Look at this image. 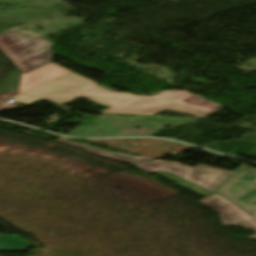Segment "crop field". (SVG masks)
Listing matches in <instances>:
<instances>
[{
    "mask_svg": "<svg viewBox=\"0 0 256 256\" xmlns=\"http://www.w3.org/2000/svg\"><path fill=\"white\" fill-rule=\"evenodd\" d=\"M207 105H209V104H208V103H205V104H203V105H201V106H199V107H203V108H205ZM215 107H217V105L211 106V107L206 108V109H210V110H212V109H214Z\"/></svg>",
    "mask_w": 256,
    "mask_h": 256,
    "instance_id": "11",
    "label": "crop field"
},
{
    "mask_svg": "<svg viewBox=\"0 0 256 256\" xmlns=\"http://www.w3.org/2000/svg\"><path fill=\"white\" fill-rule=\"evenodd\" d=\"M51 46L41 36L30 38L14 29L0 35V49L23 74L51 62Z\"/></svg>",
    "mask_w": 256,
    "mask_h": 256,
    "instance_id": "2",
    "label": "crop field"
},
{
    "mask_svg": "<svg viewBox=\"0 0 256 256\" xmlns=\"http://www.w3.org/2000/svg\"><path fill=\"white\" fill-rule=\"evenodd\" d=\"M57 141H61V142L67 143V144H71V145H74V146H77V147H81V148H84V149L88 150L91 153L107 156V157H110V158H113V159H116V160H119V161H125V162H128V163L134 164V165L143 164L145 162L153 160V159H149V158H146V157H132V156H129V155L124 154V153H113V152L104 151V150L93 148V147H90V146L70 142L64 137L57 140Z\"/></svg>",
    "mask_w": 256,
    "mask_h": 256,
    "instance_id": "6",
    "label": "crop field"
},
{
    "mask_svg": "<svg viewBox=\"0 0 256 256\" xmlns=\"http://www.w3.org/2000/svg\"><path fill=\"white\" fill-rule=\"evenodd\" d=\"M32 248L25 239L16 235H0V252L24 251Z\"/></svg>",
    "mask_w": 256,
    "mask_h": 256,
    "instance_id": "7",
    "label": "crop field"
},
{
    "mask_svg": "<svg viewBox=\"0 0 256 256\" xmlns=\"http://www.w3.org/2000/svg\"><path fill=\"white\" fill-rule=\"evenodd\" d=\"M191 93L179 92L172 95L166 91L151 97L129 93L111 92L95 82L49 63L22 76L19 93L10 99L32 104L47 99L63 105L80 96L111 107L100 113L132 114L152 116L163 110L181 111L197 116H207L210 110L185 105L181 100Z\"/></svg>",
    "mask_w": 256,
    "mask_h": 256,
    "instance_id": "1",
    "label": "crop field"
},
{
    "mask_svg": "<svg viewBox=\"0 0 256 256\" xmlns=\"http://www.w3.org/2000/svg\"><path fill=\"white\" fill-rule=\"evenodd\" d=\"M256 217V170L242 165L216 190Z\"/></svg>",
    "mask_w": 256,
    "mask_h": 256,
    "instance_id": "4",
    "label": "crop field"
},
{
    "mask_svg": "<svg viewBox=\"0 0 256 256\" xmlns=\"http://www.w3.org/2000/svg\"><path fill=\"white\" fill-rule=\"evenodd\" d=\"M20 72L15 69L0 85V103L17 94Z\"/></svg>",
    "mask_w": 256,
    "mask_h": 256,
    "instance_id": "8",
    "label": "crop field"
},
{
    "mask_svg": "<svg viewBox=\"0 0 256 256\" xmlns=\"http://www.w3.org/2000/svg\"><path fill=\"white\" fill-rule=\"evenodd\" d=\"M168 92H170V93H172V94L176 93V92H174V91H168Z\"/></svg>",
    "mask_w": 256,
    "mask_h": 256,
    "instance_id": "12",
    "label": "crop field"
},
{
    "mask_svg": "<svg viewBox=\"0 0 256 256\" xmlns=\"http://www.w3.org/2000/svg\"><path fill=\"white\" fill-rule=\"evenodd\" d=\"M198 203L219 214L224 226H240L256 234V220L221 196L212 194ZM244 238L256 240V235Z\"/></svg>",
    "mask_w": 256,
    "mask_h": 256,
    "instance_id": "5",
    "label": "crop field"
},
{
    "mask_svg": "<svg viewBox=\"0 0 256 256\" xmlns=\"http://www.w3.org/2000/svg\"><path fill=\"white\" fill-rule=\"evenodd\" d=\"M139 168L146 171L147 173H158L169 180L179 183L185 187H188L197 192L205 195L211 193L205 189L188 183L182 179L176 178L168 173H172L183 179H186L192 183L202 186L210 191H214L232 172L199 165L195 169L179 164V163H167L163 161L153 160L151 162L139 165Z\"/></svg>",
    "mask_w": 256,
    "mask_h": 256,
    "instance_id": "3",
    "label": "crop field"
},
{
    "mask_svg": "<svg viewBox=\"0 0 256 256\" xmlns=\"http://www.w3.org/2000/svg\"><path fill=\"white\" fill-rule=\"evenodd\" d=\"M205 102H208L210 103V105H213V103L205 100V99H202V98H198L194 95L190 96V97H187L185 99L182 100V103H185V104H190V105H195V106H199ZM209 105V106H210Z\"/></svg>",
    "mask_w": 256,
    "mask_h": 256,
    "instance_id": "9",
    "label": "crop field"
},
{
    "mask_svg": "<svg viewBox=\"0 0 256 256\" xmlns=\"http://www.w3.org/2000/svg\"><path fill=\"white\" fill-rule=\"evenodd\" d=\"M18 103L17 102H12L10 103L7 107H5L4 109H12L13 107H15Z\"/></svg>",
    "mask_w": 256,
    "mask_h": 256,
    "instance_id": "10",
    "label": "crop field"
},
{
    "mask_svg": "<svg viewBox=\"0 0 256 256\" xmlns=\"http://www.w3.org/2000/svg\"><path fill=\"white\" fill-rule=\"evenodd\" d=\"M2 107H4V105H1V106H0V109H1Z\"/></svg>",
    "mask_w": 256,
    "mask_h": 256,
    "instance_id": "13",
    "label": "crop field"
}]
</instances>
